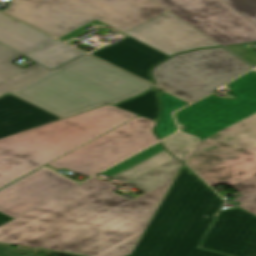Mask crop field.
<instances>
[{
	"label": "crop field",
	"mask_w": 256,
	"mask_h": 256,
	"mask_svg": "<svg viewBox=\"0 0 256 256\" xmlns=\"http://www.w3.org/2000/svg\"><path fill=\"white\" fill-rule=\"evenodd\" d=\"M182 165L173 159L130 182L145 193L133 201L94 177L0 226V243L69 256H129Z\"/></svg>",
	"instance_id": "8a807250"
},
{
	"label": "crop field",
	"mask_w": 256,
	"mask_h": 256,
	"mask_svg": "<svg viewBox=\"0 0 256 256\" xmlns=\"http://www.w3.org/2000/svg\"><path fill=\"white\" fill-rule=\"evenodd\" d=\"M234 100L211 95L175 113L180 130L201 138L187 164L211 186L224 183L256 215V71L228 84Z\"/></svg>",
	"instance_id": "ac0d7876"
},
{
	"label": "crop field",
	"mask_w": 256,
	"mask_h": 256,
	"mask_svg": "<svg viewBox=\"0 0 256 256\" xmlns=\"http://www.w3.org/2000/svg\"><path fill=\"white\" fill-rule=\"evenodd\" d=\"M152 86L84 55L10 92L61 119L140 95Z\"/></svg>",
	"instance_id": "34b2d1b8"
},
{
	"label": "crop field",
	"mask_w": 256,
	"mask_h": 256,
	"mask_svg": "<svg viewBox=\"0 0 256 256\" xmlns=\"http://www.w3.org/2000/svg\"><path fill=\"white\" fill-rule=\"evenodd\" d=\"M183 165L130 256H225L197 248L223 201Z\"/></svg>",
	"instance_id": "412701ff"
},
{
	"label": "crop field",
	"mask_w": 256,
	"mask_h": 256,
	"mask_svg": "<svg viewBox=\"0 0 256 256\" xmlns=\"http://www.w3.org/2000/svg\"><path fill=\"white\" fill-rule=\"evenodd\" d=\"M137 115L109 105L0 140V188Z\"/></svg>",
	"instance_id": "f4fd0767"
},
{
	"label": "crop field",
	"mask_w": 256,
	"mask_h": 256,
	"mask_svg": "<svg viewBox=\"0 0 256 256\" xmlns=\"http://www.w3.org/2000/svg\"><path fill=\"white\" fill-rule=\"evenodd\" d=\"M2 11L57 38L98 20L125 33L167 10L152 0H9Z\"/></svg>",
	"instance_id": "dd49c442"
},
{
	"label": "crop field",
	"mask_w": 256,
	"mask_h": 256,
	"mask_svg": "<svg viewBox=\"0 0 256 256\" xmlns=\"http://www.w3.org/2000/svg\"><path fill=\"white\" fill-rule=\"evenodd\" d=\"M249 69L225 49L214 48L174 56L152 73L158 86L194 101Z\"/></svg>",
	"instance_id": "e52e79f7"
},
{
	"label": "crop field",
	"mask_w": 256,
	"mask_h": 256,
	"mask_svg": "<svg viewBox=\"0 0 256 256\" xmlns=\"http://www.w3.org/2000/svg\"><path fill=\"white\" fill-rule=\"evenodd\" d=\"M154 122L136 117L48 165L92 176L122 158L156 142Z\"/></svg>",
	"instance_id": "d8731c3e"
},
{
	"label": "crop field",
	"mask_w": 256,
	"mask_h": 256,
	"mask_svg": "<svg viewBox=\"0 0 256 256\" xmlns=\"http://www.w3.org/2000/svg\"><path fill=\"white\" fill-rule=\"evenodd\" d=\"M220 45L256 40V27L220 0H153Z\"/></svg>",
	"instance_id": "5a996713"
},
{
	"label": "crop field",
	"mask_w": 256,
	"mask_h": 256,
	"mask_svg": "<svg viewBox=\"0 0 256 256\" xmlns=\"http://www.w3.org/2000/svg\"><path fill=\"white\" fill-rule=\"evenodd\" d=\"M125 34L168 56L218 45L170 12Z\"/></svg>",
	"instance_id": "3316defc"
},
{
	"label": "crop field",
	"mask_w": 256,
	"mask_h": 256,
	"mask_svg": "<svg viewBox=\"0 0 256 256\" xmlns=\"http://www.w3.org/2000/svg\"><path fill=\"white\" fill-rule=\"evenodd\" d=\"M200 247L233 256H256V216L241 209L219 211Z\"/></svg>",
	"instance_id": "28ad6ade"
},
{
	"label": "crop field",
	"mask_w": 256,
	"mask_h": 256,
	"mask_svg": "<svg viewBox=\"0 0 256 256\" xmlns=\"http://www.w3.org/2000/svg\"><path fill=\"white\" fill-rule=\"evenodd\" d=\"M77 185L42 169L0 191V212L15 218Z\"/></svg>",
	"instance_id": "d1516ede"
},
{
	"label": "crop field",
	"mask_w": 256,
	"mask_h": 256,
	"mask_svg": "<svg viewBox=\"0 0 256 256\" xmlns=\"http://www.w3.org/2000/svg\"><path fill=\"white\" fill-rule=\"evenodd\" d=\"M92 55L128 71L150 83V69L168 56L128 37ZM153 84V83H152Z\"/></svg>",
	"instance_id": "22f410ed"
},
{
	"label": "crop field",
	"mask_w": 256,
	"mask_h": 256,
	"mask_svg": "<svg viewBox=\"0 0 256 256\" xmlns=\"http://www.w3.org/2000/svg\"><path fill=\"white\" fill-rule=\"evenodd\" d=\"M32 105L10 94L0 98V139L61 120Z\"/></svg>",
	"instance_id": "cbeb9de0"
},
{
	"label": "crop field",
	"mask_w": 256,
	"mask_h": 256,
	"mask_svg": "<svg viewBox=\"0 0 256 256\" xmlns=\"http://www.w3.org/2000/svg\"><path fill=\"white\" fill-rule=\"evenodd\" d=\"M56 39L0 13V43L28 54Z\"/></svg>",
	"instance_id": "5142ce71"
},
{
	"label": "crop field",
	"mask_w": 256,
	"mask_h": 256,
	"mask_svg": "<svg viewBox=\"0 0 256 256\" xmlns=\"http://www.w3.org/2000/svg\"><path fill=\"white\" fill-rule=\"evenodd\" d=\"M171 159L173 157L158 143L102 173L121 182H130Z\"/></svg>",
	"instance_id": "d9b57169"
},
{
	"label": "crop field",
	"mask_w": 256,
	"mask_h": 256,
	"mask_svg": "<svg viewBox=\"0 0 256 256\" xmlns=\"http://www.w3.org/2000/svg\"><path fill=\"white\" fill-rule=\"evenodd\" d=\"M22 56L0 44V97L50 71L36 63L24 69L11 63Z\"/></svg>",
	"instance_id": "733c2abd"
},
{
	"label": "crop field",
	"mask_w": 256,
	"mask_h": 256,
	"mask_svg": "<svg viewBox=\"0 0 256 256\" xmlns=\"http://www.w3.org/2000/svg\"><path fill=\"white\" fill-rule=\"evenodd\" d=\"M80 54L82 52L56 40L26 56L49 68H54Z\"/></svg>",
	"instance_id": "4a817a6b"
},
{
	"label": "crop field",
	"mask_w": 256,
	"mask_h": 256,
	"mask_svg": "<svg viewBox=\"0 0 256 256\" xmlns=\"http://www.w3.org/2000/svg\"><path fill=\"white\" fill-rule=\"evenodd\" d=\"M114 107L137 114L154 122L156 121L159 110L154 88L138 97L119 103Z\"/></svg>",
	"instance_id": "bc2a9ffb"
},
{
	"label": "crop field",
	"mask_w": 256,
	"mask_h": 256,
	"mask_svg": "<svg viewBox=\"0 0 256 256\" xmlns=\"http://www.w3.org/2000/svg\"><path fill=\"white\" fill-rule=\"evenodd\" d=\"M196 138L178 133L172 137H169L162 142L165 148L169 150L176 158L185 160L191 149L196 143Z\"/></svg>",
	"instance_id": "214f88e0"
},
{
	"label": "crop field",
	"mask_w": 256,
	"mask_h": 256,
	"mask_svg": "<svg viewBox=\"0 0 256 256\" xmlns=\"http://www.w3.org/2000/svg\"><path fill=\"white\" fill-rule=\"evenodd\" d=\"M160 99L162 103V114L160 116L159 123L176 129L175 123L171 117V112L186 105L187 103L167 93L162 94Z\"/></svg>",
	"instance_id": "92a150f3"
},
{
	"label": "crop field",
	"mask_w": 256,
	"mask_h": 256,
	"mask_svg": "<svg viewBox=\"0 0 256 256\" xmlns=\"http://www.w3.org/2000/svg\"><path fill=\"white\" fill-rule=\"evenodd\" d=\"M256 26V0H222Z\"/></svg>",
	"instance_id": "dafd665d"
},
{
	"label": "crop field",
	"mask_w": 256,
	"mask_h": 256,
	"mask_svg": "<svg viewBox=\"0 0 256 256\" xmlns=\"http://www.w3.org/2000/svg\"><path fill=\"white\" fill-rule=\"evenodd\" d=\"M174 132H176L175 129L169 128V127L161 125V124H158L155 127V134L159 138V140L174 133Z\"/></svg>",
	"instance_id": "00972430"
},
{
	"label": "crop field",
	"mask_w": 256,
	"mask_h": 256,
	"mask_svg": "<svg viewBox=\"0 0 256 256\" xmlns=\"http://www.w3.org/2000/svg\"><path fill=\"white\" fill-rule=\"evenodd\" d=\"M0 256H22L13 248L0 244Z\"/></svg>",
	"instance_id": "a9b5d70f"
},
{
	"label": "crop field",
	"mask_w": 256,
	"mask_h": 256,
	"mask_svg": "<svg viewBox=\"0 0 256 256\" xmlns=\"http://www.w3.org/2000/svg\"><path fill=\"white\" fill-rule=\"evenodd\" d=\"M83 31H85V30L82 29V28H80V29H78V30H76V31H74V32H72V33H70V34H68V35H66V36H64V37H62V38H60V39L63 40V41H65V40H67V39H69V38H71V37H73V36H75V35H77V34L83 32Z\"/></svg>",
	"instance_id": "4177f3b9"
},
{
	"label": "crop field",
	"mask_w": 256,
	"mask_h": 256,
	"mask_svg": "<svg viewBox=\"0 0 256 256\" xmlns=\"http://www.w3.org/2000/svg\"><path fill=\"white\" fill-rule=\"evenodd\" d=\"M13 218L7 216V215H4L2 213H0V225L12 220Z\"/></svg>",
	"instance_id": "730fd06b"
}]
</instances>
